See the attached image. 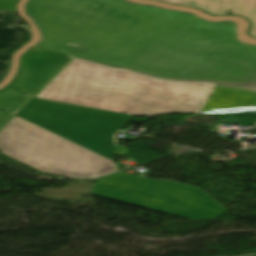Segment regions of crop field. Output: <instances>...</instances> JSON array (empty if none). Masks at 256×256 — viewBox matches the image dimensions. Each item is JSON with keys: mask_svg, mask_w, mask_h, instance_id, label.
Returning a JSON list of instances; mask_svg holds the SVG:
<instances>
[{"mask_svg": "<svg viewBox=\"0 0 256 256\" xmlns=\"http://www.w3.org/2000/svg\"><path fill=\"white\" fill-rule=\"evenodd\" d=\"M216 84L162 80L73 57L37 98L140 116L201 113Z\"/></svg>", "mask_w": 256, "mask_h": 256, "instance_id": "8a807250", "label": "crop field"}, {"mask_svg": "<svg viewBox=\"0 0 256 256\" xmlns=\"http://www.w3.org/2000/svg\"><path fill=\"white\" fill-rule=\"evenodd\" d=\"M32 9L47 32V42L40 49L71 56L82 52L67 47L70 43L87 48L130 10L236 44L226 24L209 25L185 15L134 7L118 0H36Z\"/></svg>", "mask_w": 256, "mask_h": 256, "instance_id": "ac0d7876", "label": "crop field"}, {"mask_svg": "<svg viewBox=\"0 0 256 256\" xmlns=\"http://www.w3.org/2000/svg\"><path fill=\"white\" fill-rule=\"evenodd\" d=\"M0 151L34 168L74 177L116 172L113 161L15 116L0 132Z\"/></svg>", "mask_w": 256, "mask_h": 256, "instance_id": "34b2d1b8", "label": "crop field"}, {"mask_svg": "<svg viewBox=\"0 0 256 256\" xmlns=\"http://www.w3.org/2000/svg\"><path fill=\"white\" fill-rule=\"evenodd\" d=\"M17 116L111 160L112 134L133 117L36 98Z\"/></svg>", "mask_w": 256, "mask_h": 256, "instance_id": "412701ff", "label": "crop field"}, {"mask_svg": "<svg viewBox=\"0 0 256 256\" xmlns=\"http://www.w3.org/2000/svg\"><path fill=\"white\" fill-rule=\"evenodd\" d=\"M71 58L49 50H33L25 58L26 65L17 82L23 87L21 92L34 97Z\"/></svg>", "mask_w": 256, "mask_h": 256, "instance_id": "f4fd0767", "label": "crop field"}, {"mask_svg": "<svg viewBox=\"0 0 256 256\" xmlns=\"http://www.w3.org/2000/svg\"><path fill=\"white\" fill-rule=\"evenodd\" d=\"M182 5L201 8L214 15L232 14L245 17L252 23L250 35L256 37V0H184Z\"/></svg>", "mask_w": 256, "mask_h": 256, "instance_id": "dd49c442", "label": "crop field"}, {"mask_svg": "<svg viewBox=\"0 0 256 256\" xmlns=\"http://www.w3.org/2000/svg\"><path fill=\"white\" fill-rule=\"evenodd\" d=\"M15 13L0 11V60L9 61L11 52L29 37L26 26H17Z\"/></svg>", "mask_w": 256, "mask_h": 256, "instance_id": "e52e79f7", "label": "crop field"}, {"mask_svg": "<svg viewBox=\"0 0 256 256\" xmlns=\"http://www.w3.org/2000/svg\"><path fill=\"white\" fill-rule=\"evenodd\" d=\"M31 99L32 97L20 94L12 88L0 93V108L15 112L0 111V131Z\"/></svg>", "mask_w": 256, "mask_h": 256, "instance_id": "d8731c3e", "label": "crop field"}, {"mask_svg": "<svg viewBox=\"0 0 256 256\" xmlns=\"http://www.w3.org/2000/svg\"><path fill=\"white\" fill-rule=\"evenodd\" d=\"M35 0H30V2L27 4L26 6V10L28 12V14H30L33 19L35 20L36 24L38 25L39 29L41 30L42 34H43V38H42V41L40 44L36 45L35 48H39L42 44H44L46 42V32L43 28V26L41 25V23L39 22L38 18L33 14L32 10H31V7H32V4ZM124 3H127V4H130V5H134V6H139V7H145V8H151V9H156V10H160V11H166V12H173V13H180V14H186V15H189L191 16L192 18L198 20V21H202V22H205V23H209V24H221V23H227L229 26H230V36L232 38L233 41L243 45V46H248V47H256V46H253V45H248V44H245L243 43L242 41H240L239 39L236 38V35H235V27H234V24L232 22H218V23H210V22H206L196 16H193L191 14H187V13H182V12H177V11H170V10H166V9H160V8H153V7H148V6H142V5H137V4H132V3H129L125 0H120Z\"/></svg>", "mask_w": 256, "mask_h": 256, "instance_id": "5a996713", "label": "crop field"}, {"mask_svg": "<svg viewBox=\"0 0 256 256\" xmlns=\"http://www.w3.org/2000/svg\"><path fill=\"white\" fill-rule=\"evenodd\" d=\"M33 49H30L29 51H27L25 54L22 55L21 59H20V67H19V71L15 77V79L13 80V82L11 84H9L10 86H13L15 88H17V90H22V87H20L19 85L16 84V81H18L22 71H23V67L25 65V61H24V57L31 52Z\"/></svg>", "mask_w": 256, "mask_h": 256, "instance_id": "3316defc", "label": "crop field"}, {"mask_svg": "<svg viewBox=\"0 0 256 256\" xmlns=\"http://www.w3.org/2000/svg\"><path fill=\"white\" fill-rule=\"evenodd\" d=\"M17 0H0V10L16 11Z\"/></svg>", "mask_w": 256, "mask_h": 256, "instance_id": "28ad6ade", "label": "crop field"}, {"mask_svg": "<svg viewBox=\"0 0 256 256\" xmlns=\"http://www.w3.org/2000/svg\"><path fill=\"white\" fill-rule=\"evenodd\" d=\"M8 63H9V62L0 61V78L2 77V75L4 74V72L6 71V69H7V67H8Z\"/></svg>", "mask_w": 256, "mask_h": 256, "instance_id": "d1516ede", "label": "crop field"}, {"mask_svg": "<svg viewBox=\"0 0 256 256\" xmlns=\"http://www.w3.org/2000/svg\"><path fill=\"white\" fill-rule=\"evenodd\" d=\"M171 3H175V4H181L183 0H165Z\"/></svg>", "mask_w": 256, "mask_h": 256, "instance_id": "22f410ed", "label": "crop field"}, {"mask_svg": "<svg viewBox=\"0 0 256 256\" xmlns=\"http://www.w3.org/2000/svg\"><path fill=\"white\" fill-rule=\"evenodd\" d=\"M239 256H256V254H249V255H239Z\"/></svg>", "mask_w": 256, "mask_h": 256, "instance_id": "cbeb9de0", "label": "crop field"}]
</instances>
